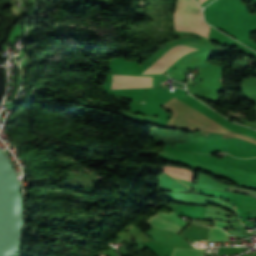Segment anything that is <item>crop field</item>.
<instances>
[{
	"label": "crop field",
	"instance_id": "f4fd0767",
	"mask_svg": "<svg viewBox=\"0 0 256 256\" xmlns=\"http://www.w3.org/2000/svg\"><path fill=\"white\" fill-rule=\"evenodd\" d=\"M190 31L208 38L210 28L205 24L204 20L190 19Z\"/></svg>",
	"mask_w": 256,
	"mask_h": 256
},
{
	"label": "crop field",
	"instance_id": "ac0d7876",
	"mask_svg": "<svg viewBox=\"0 0 256 256\" xmlns=\"http://www.w3.org/2000/svg\"><path fill=\"white\" fill-rule=\"evenodd\" d=\"M193 50H197V49H194L185 45L175 46L170 51H168L164 56H162L156 63H154L143 74L161 73L167 66L173 63L175 60H177L181 56Z\"/></svg>",
	"mask_w": 256,
	"mask_h": 256
},
{
	"label": "crop field",
	"instance_id": "412701ff",
	"mask_svg": "<svg viewBox=\"0 0 256 256\" xmlns=\"http://www.w3.org/2000/svg\"><path fill=\"white\" fill-rule=\"evenodd\" d=\"M152 87V77L113 75L112 88Z\"/></svg>",
	"mask_w": 256,
	"mask_h": 256
},
{
	"label": "crop field",
	"instance_id": "34b2d1b8",
	"mask_svg": "<svg viewBox=\"0 0 256 256\" xmlns=\"http://www.w3.org/2000/svg\"><path fill=\"white\" fill-rule=\"evenodd\" d=\"M153 227L160 229L172 230L175 233H178L183 228L187 226L188 223L177 218V215L173 212L169 214L157 213L149 220L146 221Z\"/></svg>",
	"mask_w": 256,
	"mask_h": 256
},
{
	"label": "crop field",
	"instance_id": "8a807250",
	"mask_svg": "<svg viewBox=\"0 0 256 256\" xmlns=\"http://www.w3.org/2000/svg\"><path fill=\"white\" fill-rule=\"evenodd\" d=\"M189 18L203 19L199 5L195 0H177L175 30L189 31Z\"/></svg>",
	"mask_w": 256,
	"mask_h": 256
},
{
	"label": "crop field",
	"instance_id": "dd49c442",
	"mask_svg": "<svg viewBox=\"0 0 256 256\" xmlns=\"http://www.w3.org/2000/svg\"><path fill=\"white\" fill-rule=\"evenodd\" d=\"M207 241H226L229 242L228 240V234L218 228H211L208 236Z\"/></svg>",
	"mask_w": 256,
	"mask_h": 256
},
{
	"label": "crop field",
	"instance_id": "d8731c3e",
	"mask_svg": "<svg viewBox=\"0 0 256 256\" xmlns=\"http://www.w3.org/2000/svg\"><path fill=\"white\" fill-rule=\"evenodd\" d=\"M215 226L220 227L222 229H228V224L220 221L214 220Z\"/></svg>",
	"mask_w": 256,
	"mask_h": 256
},
{
	"label": "crop field",
	"instance_id": "e52e79f7",
	"mask_svg": "<svg viewBox=\"0 0 256 256\" xmlns=\"http://www.w3.org/2000/svg\"><path fill=\"white\" fill-rule=\"evenodd\" d=\"M205 249V248H203ZM205 250L202 249H180L176 248L172 256H204Z\"/></svg>",
	"mask_w": 256,
	"mask_h": 256
},
{
	"label": "crop field",
	"instance_id": "5a996713",
	"mask_svg": "<svg viewBox=\"0 0 256 256\" xmlns=\"http://www.w3.org/2000/svg\"><path fill=\"white\" fill-rule=\"evenodd\" d=\"M205 0H200L201 4L204 2Z\"/></svg>",
	"mask_w": 256,
	"mask_h": 256
}]
</instances>
